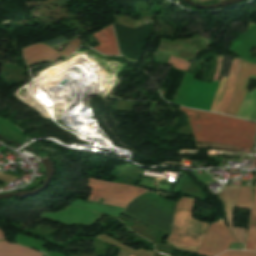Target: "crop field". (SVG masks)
<instances>
[{
    "label": "crop field",
    "instance_id": "34b2d1b8",
    "mask_svg": "<svg viewBox=\"0 0 256 256\" xmlns=\"http://www.w3.org/2000/svg\"><path fill=\"white\" fill-rule=\"evenodd\" d=\"M87 187L93 188L88 200L98 201L99 197L104 198V203L126 208L127 204L147 190L110 183L102 180L89 178Z\"/></svg>",
    "mask_w": 256,
    "mask_h": 256
},
{
    "label": "crop field",
    "instance_id": "bc2a9ffb",
    "mask_svg": "<svg viewBox=\"0 0 256 256\" xmlns=\"http://www.w3.org/2000/svg\"><path fill=\"white\" fill-rule=\"evenodd\" d=\"M0 239H5V237H4V235H3L1 230H0Z\"/></svg>",
    "mask_w": 256,
    "mask_h": 256
},
{
    "label": "crop field",
    "instance_id": "d9b57169",
    "mask_svg": "<svg viewBox=\"0 0 256 256\" xmlns=\"http://www.w3.org/2000/svg\"><path fill=\"white\" fill-rule=\"evenodd\" d=\"M167 64L172 65L178 69L186 70L190 65V62L171 56Z\"/></svg>",
    "mask_w": 256,
    "mask_h": 256
},
{
    "label": "crop field",
    "instance_id": "dd49c442",
    "mask_svg": "<svg viewBox=\"0 0 256 256\" xmlns=\"http://www.w3.org/2000/svg\"><path fill=\"white\" fill-rule=\"evenodd\" d=\"M256 47V24L250 23L248 30L235 37L229 46V50L240 55L246 61L256 63V59L250 57L251 49Z\"/></svg>",
    "mask_w": 256,
    "mask_h": 256
},
{
    "label": "crop field",
    "instance_id": "5a996713",
    "mask_svg": "<svg viewBox=\"0 0 256 256\" xmlns=\"http://www.w3.org/2000/svg\"><path fill=\"white\" fill-rule=\"evenodd\" d=\"M101 44L94 47L96 50L107 55H120L114 38L112 25L92 34Z\"/></svg>",
    "mask_w": 256,
    "mask_h": 256
},
{
    "label": "crop field",
    "instance_id": "e52e79f7",
    "mask_svg": "<svg viewBox=\"0 0 256 256\" xmlns=\"http://www.w3.org/2000/svg\"><path fill=\"white\" fill-rule=\"evenodd\" d=\"M239 188L240 186H225L223 191L219 194V198L225 205L228 226L230 227L237 240L244 243L245 229L233 227L232 223V214L238 197Z\"/></svg>",
    "mask_w": 256,
    "mask_h": 256
},
{
    "label": "crop field",
    "instance_id": "d1516ede",
    "mask_svg": "<svg viewBox=\"0 0 256 256\" xmlns=\"http://www.w3.org/2000/svg\"><path fill=\"white\" fill-rule=\"evenodd\" d=\"M71 206L79 207V208H84V209H89V210H94V211H99V212H104L112 215L119 216L123 209L106 205V204H101V203H95V202H89L81 199H77L74 201Z\"/></svg>",
    "mask_w": 256,
    "mask_h": 256
},
{
    "label": "crop field",
    "instance_id": "733c2abd",
    "mask_svg": "<svg viewBox=\"0 0 256 256\" xmlns=\"http://www.w3.org/2000/svg\"><path fill=\"white\" fill-rule=\"evenodd\" d=\"M219 256H256V253L230 250L220 254Z\"/></svg>",
    "mask_w": 256,
    "mask_h": 256
},
{
    "label": "crop field",
    "instance_id": "28ad6ade",
    "mask_svg": "<svg viewBox=\"0 0 256 256\" xmlns=\"http://www.w3.org/2000/svg\"><path fill=\"white\" fill-rule=\"evenodd\" d=\"M0 256H42V253L3 240L0 241Z\"/></svg>",
    "mask_w": 256,
    "mask_h": 256
},
{
    "label": "crop field",
    "instance_id": "3316defc",
    "mask_svg": "<svg viewBox=\"0 0 256 256\" xmlns=\"http://www.w3.org/2000/svg\"><path fill=\"white\" fill-rule=\"evenodd\" d=\"M240 61L241 60H233L232 61L231 69H230L228 80H227L226 90L223 95L221 105H220V108L218 111L220 113L226 114L227 110L230 106L231 98L233 95V91L235 88L236 79H237V75H238V71H239V67H240Z\"/></svg>",
    "mask_w": 256,
    "mask_h": 256
},
{
    "label": "crop field",
    "instance_id": "5142ce71",
    "mask_svg": "<svg viewBox=\"0 0 256 256\" xmlns=\"http://www.w3.org/2000/svg\"><path fill=\"white\" fill-rule=\"evenodd\" d=\"M226 80L227 78H224V77L220 78L219 86H218L215 98L213 100L211 111H214V112L218 111L219 104H220L223 92L225 90Z\"/></svg>",
    "mask_w": 256,
    "mask_h": 256
},
{
    "label": "crop field",
    "instance_id": "8a807250",
    "mask_svg": "<svg viewBox=\"0 0 256 256\" xmlns=\"http://www.w3.org/2000/svg\"><path fill=\"white\" fill-rule=\"evenodd\" d=\"M179 109L187 114L196 142L251 149L256 130L255 123L183 107Z\"/></svg>",
    "mask_w": 256,
    "mask_h": 256
},
{
    "label": "crop field",
    "instance_id": "cbeb9de0",
    "mask_svg": "<svg viewBox=\"0 0 256 256\" xmlns=\"http://www.w3.org/2000/svg\"><path fill=\"white\" fill-rule=\"evenodd\" d=\"M251 201H252V195H251L250 187L242 186L236 207L250 209Z\"/></svg>",
    "mask_w": 256,
    "mask_h": 256
},
{
    "label": "crop field",
    "instance_id": "d8731c3e",
    "mask_svg": "<svg viewBox=\"0 0 256 256\" xmlns=\"http://www.w3.org/2000/svg\"><path fill=\"white\" fill-rule=\"evenodd\" d=\"M249 75L256 76V64L248 63L244 60L241 61V67L238 75L237 85L234 97L229 108V115L235 116L239 108L240 102L244 95L249 80ZM229 112V111H228ZM228 114V113H227Z\"/></svg>",
    "mask_w": 256,
    "mask_h": 256
},
{
    "label": "crop field",
    "instance_id": "412701ff",
    "mask_svg": "<svg viewBox=\"0 0 256 256\" xmlns=\"http://www.w3.org/2000/svg\"><path fill=\"white\" fill-rule=\"evenodd\" d=\"M80 42V37L76 36L64 47V49L60 53L42 43L30 45L22 49L26 66H32L45 61L54 63L59 58L63 56L67 57L73 51H75L79 46Z\"/></svg>",
    "mask_w": 256,
    "mask_h": 256
},
{
    "label": "crop field",
    "instance_id": "22f410ed",
    "mask_svg": "<svg viewBox=\"0 0 256 256\" xmlns=\"http://www.w3.org/2000/svg\"><path fill=\"white\" fill-rule=\"evenodd\" d=\"M245 250L256 251V188H254V201L249 219V231Z\"/></svg>",
    "mask_w": 256,
    "mask_h": 256
},
{
    "label": "crop field",
    "instance_id": "214f88e0",
    "mask_svg": "<svg viewBox=\"0 0 256 256\" xmlns=\"http://www.w3.org/2000/svg\"><path fill=\"white\" fill-rule=\"evenodd\" d=\"M128 256H133V255L129 254Z\"/></svg>",
    "mask_w": 256,
    "mask_h": 256
},
{
    "label": "crop field",
    "instance_id": "ac0d7876",
    "mask_svg": "<svg viewBox=\"0 0 256 256\" xmlns=\"http://www.w3.org/2000/svg\"><path fill=\"white\" fill-rule=\"evenodd\" d=\"M194 201L182 197L174 214V226L168 241L176 246L197 249L207 224L191 217Z\"/></svg>",
    "mask_w": 256,
    "mask_h": 256
},
{
    "label": "crop field",
    "instance_id": "4a817a6b",
    "mask_svg": "<svg viewBox=\"0 0 256 256\" xmlns=\"http://www.w3.org/2000/svg\"><path fill=\"white\" fill-rule=\"evenodd\" d=\"M195 148H216V149H223L229 151H238V148L214 145V144H196Z\"/></svg>",
    "mask_w": 256,
    "mask_h": 256
},
{
    "label": "crop field",
    "instance_id": "f4fd0767",
    "mask_svg": "<svg viewBox=\"0 0 256 256\" xmlns=\"http://www.w3.org/2000/svg\"><path fill=\"white\" fill-rule=\"evenodd\" d=\"M231 242L237 241L232 237L224 222L211 224L200 244L197 254L216 256L227 250Z\"/></svg>",
    "mask_w": 256,
    "mask_h": 256
}]
</instances>
